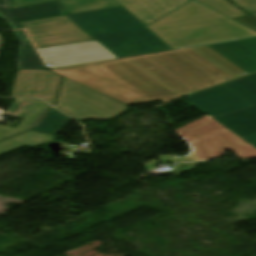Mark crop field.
<instances>
[{"instance_id": "8", "label": "crop field", "mask_w": 256, "mask_h": 256, "mask_svg": "<svg viewBox=\"0 0 256 256\" xmlns=\"http://www.w3.org/2000/svg\"><path fill=\"white\" fill-rule=\"evenodd\" d=\"M48 69L116 59L96 41L37 50Z\"/></svg>"}, {"instance_id": "12", "label": "crop field", "mask_w": 256, "mask_h": 256, "mask_svg": "<svg viewBox=\"0 0 256 256\" xmlns=\"http://www.w3.org/2000/svg\"><path fill=\"white\" fill-rule=\"evenodd\" d=\"M191 103L213 119L252 107L229 90Z\"/></svg>"}, {"instance_id": "11", "label": "crop field", "mask_w": 256, "mask_h": 256, "mask_svg": "<svg viewBox=\"0 0 256 256\" xmlns=\"http://www.w3.org/2000/svg\"><path fill=\"white\" fill-rule=\"evenodd\" d=\"M11 3V0H0V18L13 29L22 28L19 22L68 14L60 1L13 10H10Z\"/></svg>"}, {"instance_id": "5", "label": "crop field", "mask_w": 256, "mask_h": 256, "mask_svg": "<svg viewBox=\"0 0 256 256\" xmlns=\"http://www.w3.org/2000/svg\"><path fill=\"white\" fill-rule=\"evenodd\" d=\"M55 108L77 121L89 118L111 119L128 109L126 105L64 77Z\"/></svg>"}, {"instance_id": "23", "label": "crop field", "mask_w": 256, "mask_h": 256, "mask_svg": "<svg viewBox=\"0 0 256 256\" xmlns=\"http://www.w3.org/2000/svg\"><path fill=\"white\" fill-rule=\"evenodd\" d=\"M245 140H247L251 145L256 147V134L244 137Z\"/></svg>"}, {"instance_id": "10", "label": "crop field", "mask_w": 256, "mask_h": 256, "mask_svg": "<svg viewBox=\"0 0 256 256\" xmlns=\"http://www.w3.org/2000/svg\"><path fill=\"white\" fill-rule=\"evenodd\" d=\"M56 0H13L11 9ZM146 26L190 0H116Z\"/></svg>"}, {"instance_id": "16", "label": "crop field", "mask_w": 256, "mask_h": 256, "mask_svg": "<svg viewBox=\"0 0 256 256\" xmlns=\"http://www.w3.org/2000/svg\"><path fill=\"white\" fill-rule=\"evenodd\" d=\"M61 3L69 14L83 13L120 6L115 0H62Z\"/></svg>"}, {"instance_id": "14", "label": "crop field", "mask_w": 256, "mask_h": 256, "mask_svg": "<svg viewBox=\"0 0 256 256\" xmlns=\"http://www.w3.org/2000/svg\"><path fill=\"white\" fill-rule=\"evenodd\" d=\"M215 120L239 138L256 133V106Z\"/></svg>"}, {"instance_id": "18", "label": "crop field", "mask_w": 256, "mask_h": 256, "mask_svg": "<svg viewBox=\"0 0 256 256\" xmlns=\"http://www.w3.org/2000/svg\"><path fill=\"white\" fill-rule=\"evenodd\" d=\"M200 2L232 19L246 16L241 10L227 2L226 0H195Z\"/></svg>"}, {"instance_id": "21", "label": "crop field", "mask_w": 256, "mask_h": 256, "mask_svg": "<svg viewBox=\"0 0 256 256\" xmlns=\"http://www.w3.org/2000/svg\"><path fill=\"white\" fill-rule=\"evenodd\" d=\"M236 21L256 30V13L246 16V17H242L239 19H235Z\"/></svg>"}, {"instance_id": "20", "label": "crop field", "mask_w": 256, "mask_h": 256, "mask_svg": "<svg viewBox=\"0 0 256 256\" xmlns=\"http://www.w3.org/2000/svg\"><path fill=\"white\" fill-rule=\"evenodd\" d=\"M235 153L241 158H256V150L250 145L235 151Z\"/></svg>"}, {"instance_id": "13", "label": "crop field", "mask_w": 256, "mask_h": 256, "mask_svg": "<svg viewBox=\"0 0 256 256\" xmlns=\"http://www.w3.org/2000/svg\"><path fill=\"white\" fill-rule=\"evenodd\" d=\"M227 89L231 90L251 105H256V74L204 90L184 98L191 102Z\"/></svg>"}, {"instance_id": "19", "label": "crop field", "mask_w": 256, "mask_h": 256, "mask_svg": "<svg viewBox=\"0 0 256 256\" xmlns=\"http://www.w3.org/2000/svg\"><path fill=\"white\" fill-rule=\"evenodd\" d=\"M235 3L237 6L245 10L247 13L256 12V0H230Z\"/></svg>"}, {"instance_id": "15", "label": "crop field", "mask_w": 256, "mask_h": 256, "mask_svg": "<svg viewBox=\"0 0 256 256\" xmlns=\"http://www.w3.org/2000/svg\"><path fill=\"white\" fill-rule=\"evenodd\" d=\"M21 45L18 46L17 69H47L24 30L14 31Z\"/></svg>"}, {"instance_id": "17", "label": "crop field", "mask_w": 256, "mask_h": 256, "mask_svg": "<svg viewBox=\"0 0 256 256\" xmlns=\"http://www.w3.org/2000/svg\"><path fill=\"white\" fill-rule=\"evenodd\" d=\"M70 118L51 108L34 126L33 131L57 135Z\"/></svg>"}, {"instance_id": "4", "label": "crop field", "mask_w": 256, "mask_h": 256, "mask_svg": "<svg viewBox=\"0 0 256 256\" xmlns=\"http://www.w3.org/2000/svg\"><path fill=\"white\" fill-rule=\"evenodd\" d=\"M176 133L191 146L192 151L189 155L176 158L171 155H161L160 161L151 160L149 164L143 163L146 170H154V162L209 160L225 155L226 150L235 151L248 145L207 115L176 130Z\"/></svg>"}, {"instance_id": "6", "label": "crop field", "mask_w": 256, "mask_h": 256, "mask_svg": "<svg viewBox=\"0 0 256 256\" xmlns=\"http://www.w3.org/2000/svg\"><path fill=\"white\" fill-rule=\"evenodd\" d=\"M49 106L38 99H16L5 114L23 118L17 128L0 125V140L28 131ZM54 136L29 131L0 142V154L53 141Z\"/></svg>"}, {"instance_id": "7", "label": "crop field", "mask_w": 256, "mask_h": 256, "mask_svg": "<svg viewBox=\"0 0 256 256\" xmlns=\"http://www.w3.org/2000/svg\"><path fill=\"white\" fill-rule=\"evenodd\" d=\"M66 16L52 17L20 23L26 28L38 49L94 40L75 23L33 28L68 22Z\"/></svg>"}, {"instance_id": "2", "label": "crop field", "mask_w": 256, "mask_h": 256, "mask_svg": "<svg viewBox=\"0 0 256 256\" xmlns=\"http://www.w3.org/2000/svg\"><path fill=\"white\" fill-rule=\"evenodd\" d=\"M147 27L172 49L256 36V32L196 2Z\"/></svg>"}, {"instance_id": "1", "label": "crop field", "mask_w": 256, "mask_h": 256, "mask_svg": "<svg viewBox=\"0 0 256 256\" xmlns=\"http://www.w3.org/2000/svg\"><path fill=\"white\" fill-rule=\"evenodd\" d=\"M52 71L126 105L170 102L255 73L256 38Z\"/></svg>"}, {"instance_id": "3", "label": "crop field", "mask_w": 256, "mask_h": 256, "mask_svg": "<svg viewBox=\"0 0 256 256\" xmlns=\"http://www.w3.org/2000/svg\"><path fill=\"white\" fill-rule=\"evenodd\" d=\"M123 8L67 17L118 58L172 50Z\"/></svg>"}, {"instance_id": "9", "label": "crop field", "mask_w": 256, "mask_h": 256, "mask_svg": "<svg viewBox=\"0 0 256 256\" xmlns=\"http://www.w3.org/2000/svg\"><path fill=\"white\" fill-rule=\"evenodd\" d=\"M60 76L46 70H18L12 97H40L53 104Z\"/></svg>"}, {"instance_id": "22", "label": "crop field", "mask_w": 256, "mask_h": 256, "mask_svg": "<svg viewBox=\"0 0 256 256\" xmlns=\"http://www.w3.org/2000/svg\"><path fill=\"white\" fill-rule=\"evenodd\" d=\"M178 165H181V167H178ZM197 166V163H189V164H177L176 165V172L173 176L177 175V171H189Z\"/></svg>"}]
</instances>
